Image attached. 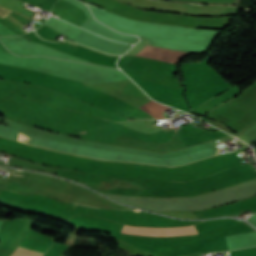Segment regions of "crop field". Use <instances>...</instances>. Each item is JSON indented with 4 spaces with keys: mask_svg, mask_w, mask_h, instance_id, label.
I'll list each match as a JSON object with an SVG mask.
<instances>
[{
    "mask_svg": "<svg viewBox=\"0 0 256 256\" xmlns=\"http://www.w3.org/2000/svg\"><path fill=\"white\" fill-rule=\"evenodd\" d=\"M42 255L43 253L17 247V249L11 256H42Z\"/></svg>",
    "mask_w": 256,
    "mask_h": 256,
    "instance_id": "crop-field-4",
    "label": "crop field"
},
{
    "mask_svg": "<svg viewBox=\"0 0 256 256\" xmlns=\"http://www.w3.org/2000/svg\"><path fill=\"white\" fill-rule=\"evenodd\" d=\"M11 10L6 8L0 7V17L4 18L7 14H9Z\"/></svg>",
    "mask_w": 256,
    "mask_h": 256,
    "instance_id": "crop-field-5",
    "label": "crop field"
},
{
    "mask_svg": "<svg viewBox=\"0 0 256 256\" xmlns=\"http://www.w3.org/2000/svg\"><path fill=\"white\" fill-rule=\"evenodd\" d=\"M167 109L170 107L151 101L135 109L126 117L131 119H161L164 117L160 113Z\"/></svg>",
    "mask_w": 256,
    "mask_h": 256,
    "instance_id": "crop-field-2",
    "label": "crop field"
},
{
    "mask_svg": "<svg viewBox=\"0 0 256 256\" xmlns=\"http://www.w3.org/2000/svg\"><path fill=\"white\" fill-rule=\"evenodd\" d=\"M121 233L155 236H183L195 234L196 231L194 225L175 228H139L125 225Z\"/></svg>",
    "mask_w": 256,
    "mask_h": 256,
    "instance_id": "crop-field-1",
    "label": "crop field"
},
{
    "mask_svg": "<svg viewBox=\"0 0 256 256\" xmlns=\"http://www.w3.org/2000/svg\"><path fill=\"white\" fill-rule=\"evenodd\" d=\"M140 37V36H139ZM139 43L135 44L125 55H136L140 56L147 52L148 50L152 49L154 44L150 40V38L140 37Z\"/></svg>",
    "mask_w": 256,
    "mask_h": 256,
    "instance_id": "crop-field-3",
    "label": "crop field"
}]
</instances>
